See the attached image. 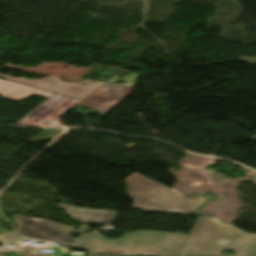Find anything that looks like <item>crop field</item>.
Returning <instances> with one entry per match:
<instances>
[{"label":"crop field","mask_w":256,"mask_h":256,"mask_svg":"<svg viewBox=\"0 0 256 256\" xmlns=\"http://www.w3.org/2000/svg\"><path fill=\"white\" fill-rule=\"evenodd\" d=\"M18 254L20 255H25V256H52V253H41L36 250L24 247L18 250H15Z\"/></svg>","instance_id":"crop-field-12"},{"label":"crop field","mask_w":256,"mask_h":256,"mask_svg":"<svg viewBox=\"0 0 256 256\" xmlns=\"http://www.w3.org/2000/svg\"><path fill=\"white\" fill-rule=\"evenodd\" d=\"M80 100L54 94L15 125L58 126L55 122Z\"/></svg>","instance_id":"crop-field-5"},{"label":"crop field","mask_w":256,"mask_h":256,"mask_svg":"<svg viewBox=\"0 0 256 256\" xmlns=\"http://www.w3.org/2000/svg\"><path fill=\"white\" fill-rule=\"evenodd\" d=\"M165 234L156 231H139L125 234L117 240H107L98 234H90L81 238L77 245L98 254L154 256Z\"/></svg>","instance_id":"crop-field-3"},{"label":"crop field","mask_w":256,"mask_h":256,"mask_svg":"<svg viewBox=\"0 0 256 256\" xmlns=\"http://www.w3.org/2000/svg\"><path fill=\"white\" fill-rule=\"evenodd\" d=\"M34 94L44 96L47 98L53 95V93H49L46 91L38 90L35 88L0 79V96L2 97L0 98V100L8 98L20 101Z\"/></svg>","instance_id":"crop-field-9"},{"label":"crop field","mask_w":256,"mask_h":256,"mask_svg":"<svg viewBox=\"0 0 256 256\" xmlns=\"http://www.w3.org/2000/svg\"><path fill=\"white\" fill-rule=\"evenodd\" d=\"M126 181L128 193L135 200L134 207L145 212L189 214L205 203L203 199L189 201L182 198L164 185L136 172Z\"/></svg>","instance_id":"crop-field-2"},{"label":"crop field","mask_w":256,"mask_h":256,"mask_svg":"<svg viewBox=\"0 0 256 256\" xmlns=\"http://www.w3.org/2000/svg\"><path fill=\"white\" fill-rule=\"evenodd\" d=\"M225 249H234L237 256H256V235L215 217H199L179 256H229L220 254Z\"/></svg>","instance_id":"crop-field-1"},{"label":"crop field","mask_w":256,"mask_h":256,"mask_svg":"<svg viewBox=\"0 0 256 256\" xmlns=\"http://www.w3.org/2000/svg\"><path fill=\"white\" fill-rule=\"evenodd\" d=\"M18 224V233L36 239L49 241H61L74 244L77 239L66 237L73 228L50 222L47 220L37 221L25 216H14Z\"/></svg>","instance_id":"crop-field-6"},{"label":"crop field","mask_w":256,"mask_h":256,"mask_svg":"<svg viewBox=\"0 0 256 256\" xmlns=\"http://www.w3.org/2000/svg\"><path fill=\"white\" fill-rule=\"evenodd\" d=\"M11 245L14 246V247L11 248V249L17 248V247L19 246V244H17V243H14V244H11ZM5 250H10V249H5Z\"/></svg>","instance_id":"crop-field-14"},{"label":"crop field","mask_w":256,"mask_h":256,"mask_svg":"<svg viewBox=\"0 0 256 256\" xmlns=\"http://www.w3.org/2000/svg\"><path fill=\"white\" fill-rule=\"evenodd\" d=\"M1 78L38 87L41 89H45L51 92L83 99L86 97L92 90L103 84L104 82H96L92 80H82L76 83H66L62 82L60 78L57 77H47L43 79L30 80L23 77L14 78L7 75L0 74Z\"/></svg>","instance_id":"crop-field-4"},{"label":"crop field","mask_w":256,"mask_h":256,"mask_svg":"<svg viewBox=\"0 0 256 256\" xmlns=\"http://www.w3.org/2000/svg\"><path fill=\"white\" fill-rule=\"evenodd\" d=\"M19 238L21 237L15 234L14 232H7V233L0 234V240L2 241L3 245Z\"/></svg>","instance_id":"crop-field-13"},{"label":"crop field","mask_w":256,"mask_h":256,"mask_svg":"<svg viewBox=\"0 0 256 256\" xmlns=\"http://www.w3.org/2000/svg\"><path fill=\"white\" fill-rule=\"evenodd\" d=\"M137 76H139V75H137V74H135V73L129 74V75H127L126 77H124L125 80H126V84H117V85H124V86L134 87L135 84H136V81H134V80H135V78H136ZM119 79H120V77H118V76H113L112 80L107 81L106 83L112 84L113 82H115V81H117V80H119Z\"/></svg>","instance_id":"crop-field-11"},{"label":"crop field","mask_w":256,"mask_h":256,"mask_svg":"<svg viewBox=\"0 0 256 256\" xmlns=\"http://www.w3.org/2000/svg\"><path fill=\"white\" fill-rule=\"evenodd\" d=\"M186 236L167 233L155 256H176Z\"/></svg>","instance_id":"crop-field-10"},{"label":"crop field","mask_w":256,"mask_h":256,"mask_svg":"<svg viewBox=\"0 0 256 256\" xmlns=\"http://www.w3.org/2000/svg\"><path fill=\"white\" fill-rule=\"evenodd\" d=\"M119 93L120 89L104 83L78 105L106 113L123 100Z\"/></svg>","instance_id":"crop-field-7"},{"label":"crop field","mask_w":256,"mask_h":256,"mask_svg":"<svg viewBox=\"0 0 256 256\" xmlns=\"http://www.w3.org/2000/svg\"><path fill=\"white\" fill-rule=\"evenodd\" d=\"M59 207L67 211L70 217L92 224L109 225L117 215V212L112 210L98 211L82 208H71L62 204H60Z\"/></svg>","instance_id":"crop-field-8"}]
</instances>
